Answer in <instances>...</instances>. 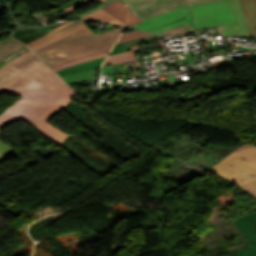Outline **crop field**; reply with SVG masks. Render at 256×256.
<instances>
[{
    "label": "crop field",
    "mask_w": 256,
    "mask_h": 256,
    "mask_svg": "<svg viewBox=\"0 0 256 256\" xmlns=\"http://www.w3.org/2000/svg\"><path fill=\"white\" fill-rule=\"evenodd\" d=\"M122 29L97 35L84 27L34 52L51 65L85 53L113 47Z\"/></svg>",
    "instance_id": "8a807250"
},
{
    "label": "crop field",
    "mask_w": 256,
    "mask_h": 256,
    "mask_svg": "<svg viewBox=\"0 0 256 256\" xmlns=\"http://www.w3.org/2000/svg\"><path fill=\"white\" fill-rule=\"evenodd\" d=\"M77 95L68 85L48 99L22 97L0 113V129L21 119H41L48 121L53 115L68 105Z\"/></svg>",
    "instance_id": "ac0d7876"
},
{
    "label": "crop field",
    "mask_w": 256,
    "mask_h": 256,
    "mask_svg": "<svg viewBox=\"0 0 256 256\" xmlns=\"http://www.w3.org/2000/svg\"><path fill=\"white\" fill-rule=\"evenodd\" d=\"M23 71L0 86V92L19 96L48 98L52 94L46 92L38 80L53 72L35 54L15 64Z\"/></svg>",
    "instance_id": "34b2d1b8"
},
{
    "label": "crop field",
    "mask_w": 256,
    "mask_h": 256,
    "mask_svg": "<svg viewBox=\"0 0 256 256\" xmlns=\"http://www.w3.org/2000/svg\"><path fill=\"white\" fill-rule=\"evenodd\" d=\"M233 3L239 24L218 27L223 37L256 36V0H219L188 6L189 11L201 7Z\"/></svg>",
    "instance_id": "412701ff"
},
{
    "label": "crop field",
    "mask_w": 256,
    "mask_h": 256,
    "mask_svg": "<svg viewBox=\"0 0 256 256\" xmlns=\"http://www.w3.org/2000/svg\"><path fill=\"white\" fill-rule=\"evenodd\" d=\"M211 170L232 180L256 198L255 166L231 154Z\"/></svg>",
    "instance_id": "f4fd0767"
},
{
    "label": "crop field",
    "mask_w": 256,
    "mask_h": 256,
    "mask_svg": "<svg viewBox=\"0 0 256 256\" xmlns=\"http://www.w3.org/2000/svg\"><path fill=\"white\" fill-rule=\"evenodd\" d=\"M191 13L195 29L238 23L232 4L206 7Z\"/></svg>",
    "instance_id": "dd49c442"
},
{
    "label": "crop field",
    "mask_w": 256,
    "mask_h": 256,
    "mask_svg": "<svg viewBox=\"0 0 256 256\" xmlns=\"http://www.w3.org/2000/svg\"><path fill=\"white\" fill-rule=\"evenodd\" d=\"M213 0H134L130 11L140 20L170 11L181 6L203 3Z\"/></svg>",
    "instance_id": "e52e79f7"
},
{
    "label": "crop field",
    "mask_w": 256,
    "mask_h": 256,
    "mask_svg": "<svg viewBox=\"0 0 256 256\" xmlns=\"http://www.w3.org/2000/svg\"><path fill=\"white\" fill-rule=\"evenodd\" d=\"M184 15H186L187 19H185L183 21H180V22H177V23H174V24L164 26L162 28H159V29H156V30L152 31V32H156V31H160V30H163V29L178 26V25H181V24L189 23L188 20L191 19L192 17H191L190 13L187 11V9L185 7H181L179 9H176V10H173V11H170V12H167V13H163V14L154 16L152 18L143 20L142 21L143 23L133 25V26H129V27L148 30V29L160 26V25H164V24H166V23H168L172 20H175L177 18H180Z\"/></svg>",
    "instance_id": "d8731c3e"
},
{
    "label": "crop field",
    "mask_w": 256,
    "mask_h": 256,
    "mask_svg": "<svg viewBox=\"0 0 256 256\" xmlns=\"http://www.w3.org/2000/svg\"><path fill=\"white\" fill-rule=\"evenodd\" d=\"M232 221L251 245L238 251L239 256H256V211Z\"/></svg>",
    "instance_id": "5a996713"
},
{
    "label": "crop field",
    "mask_w": 256,
    "mask_h": 256,
    "mask_svg": "<svg viewBox=\"0 0 256 256\" xmlns=\"http://www.w3.org/2000/svg\"><path fill=\"white\" fill-rule=\"evenodd\" d=\"M72 23H74V22L65 23V24L61 25L60 27L54 29L50 33L42 36L41 38H39V39H37V40L27 44V45L29 46V48L32 51H34V50H36V49H38V48H40V47H42V46H44V45H46L48 43H51V42H53V41H55V40L65 36V35L70 34V33H72V32H74V31H76V30H78V29H80V28L85 26L84 23L81 22V23H79L77 25H74L72 27H69V28H67L65 30H62L60 32H57V33L51 35L52 33H54V32H56V31H58V30H60V29H62L64 27H66V26H68V25H70Z\"/></svg>",
    "instance_id": "3316defc"
},
{
    "label": "crop field",
    "mask_w": 256,
    "mask_h": 256,
    "mask_svg": "<svg viewBox=\"0 0 256 256\" xmlns=\"http://www.w3.org/2000/svg\"><path fill=\"white\" fill-rule=\"evenodd\" d=\"M24 121L32 125L35 129H37L44 136L51 139V141H53L56 144L61 143L63 139L67 135H69L49 122L33 121V120H24Z\"/></svg>",
    "instance_id": "28ad6ade"
},
{
    "label": "crop field",
    "mask_w": 256,
    "mask_h": 256,
    "mask_svg": "<svg viewBox=\"0 0 256 256\" xmlns=\"http://www.w3.org/2000/svg\"><path fill=\"white\" fill-rule=\"evenodd\" d=\"M59 25H61V24H59ZM59 25H52V26L39 28V29H25V28L19 29V30L14 31V37L19 39L24 44H27V43L41 37L42 35L51 31L52 29H54L55 27H57Z\"/></svg>",
    "instance_id": "d1516ede"
},
{
    "label": "crop field",
    "mask_w": 256,
    "mask_h": 256,
    "mask_svg": "<svg viewBox=\"0 0 256 256\" xmlns=\"http://www.w3.org/2000/svg\"><path fill=\"white\" fill-rule=\"evenodd\" d=\"M25 48L27 47L12 37L0 42V62Z\"/></svg>",
    "instance_id": "22f410ed"
},
{
    "label": "crop field",
    "mask_w": 256,
    "mask_h": 256,
    "mask_svg": "<svg viewBox=\"0 0 256 256\" xmlns=\"http://www.w3.org/2000/svg\"><path fill=\"white\" fill-rule=\"evenodd\" d=\"M39 81L41 85L45 88V90L52 94L66 85V83L63 82L62 79L55 72L47 75Z\"/></svg>",
    "instance_id": "cbeb9de0"
},
{
    "label": "crop field",
    "mask_w": 256,
    "mask_h": 256,
    "mask_svg": "<svg viewBox=\"0 0 256 256\" xmlns=\"http://www.w3.org/2000/svg\"><path fill=\"white\" fill-rule=\"evenodd\" d=\"M32 54H34V53H32L30 51L27 54L17 58L16 60L6 64L5 66L1 67L0 68V85L21 71L15 67H13L12 66L13 64L23 60L24 58H26Z\"/></svg>",
    "instance_id": "5142ce71"
},
{
    "label": "crop field",
    "mask_w": 256,
    "mask_h": 256,
    "mask_svg": "<svg viewBox=\"0 0 256 256\" xmlns=\"http://www.w3.org/2000/svg\"><path fill=\"white\" fill-rule=\"evenodd\" d=\"M104 58H99L84 64H80V65H76V66H72L60 71H57V73L60 76H64V75H69V74H73V73H77V72H81V71H85V70H89V69H93V68H98L100 67L101 63L103 62Z\"/></svg>",
    "instance_id": "d9b57169"
},
{
    "label": "crop field",
    "mask_w": 256,
    "mask_h": 256,
    "mask_svg": "<svg viewBox=\"0 0 256 256\" xmlns=\"http://www.w3.org/2000/svg\"><path fill=\"white\" fill-rule=\"evenodd\" d=\"M162 36H164V35L153 34V35L146 36L143 38L135 39V40L128 41L125 43H121V44H117V45H115V47L113 48V50L111 51L110 54L113 55V54H117L120 52L128 51L131 49L130 46H132V45L140 44V43H143V42H146V41L158 38V37H162Z\"/></svg>",
    "instance_id": "733c2abd"
},
{
    "label": "crop field",
    "mask_w": 256,
    "mask_h": 256,
    "mask_svg": "<svg viewBox=\"0 0 256 256\" xmlns=\"http://www.w3.org/2000/svg\"><path fill=\"white\" fill-rule=\"evenodd\" d=\"M233 154L241 157L242 159L256 166V146H250V145L244 144Z\"/></svg>",
    "instance_id": "4a817a6b"
},
{
    "label": "crop field",
    "mask_w": 256,
    "mask_h": 256,
    "mask_svg": "<svg viewBox=\"0 0 256 256\" xmlns=\"http://www.w3.org/2000/svg\"><path fill=\"white\" fill-rule=\"evenodd\" d=\"M137 61L135 54L133 53V50L124 52L121 54L108 56V58L105 60L103 65H109V64H117L122 62H135Z\"/></svg>",
    "instance_id": "bc2a9ffb"
},
{
    "label": "crop field",
    "mask_w": 256,
    "mask_h": 256,
    "mask_svg": "<svg viewBox=\"0 0 256 256\" xmlns=\"http://www.w3.org/2000/svg\"><path fill=\"white\" fill-rule=\"evenodd\" d=\"M103 10L115 16L116 18L120 19L121 21L125 22L128 8H126L124 5H122L120 2L117 1L103 8Z\"/></svg>",
    "instance_id": "214f88e0"
},
{
    "label": "crop field",
    "mask_w": 256,
    "mask_h": 256,
    "mask_svg": "<svg viewBox=\"0 0 256 256\" xmlns=\"http://www.w3.org/2000/svg\"><path fill=\"white\" fill-rule=\"evenodd\" d=\"M83 19L105 21V22L122 25V26H124V24H125V23L121 22L120 20L114 18L113 16L109 15L108 13L104 12L102 9L83 17Z\"/></svg>",
    "instance_id": "92a150f3"
},
{
    "label": "crop field",
    "mask_w": 256,
    "mask_h": 256,
    "mask_svg": "<svg viewBox=\"0 0 256 256\" xmlns=\"http://www.w3.org/2000/svg\"><path fill=\"white\" fill-rule=\"evenodd\" d=\"M160 32L161 33H166V34H173V35L196 33L190 23L182 25V26L174 27V28H171V29H167V30H164V31H160Z\"/></svg>",
    "instance_id": "dafd665d"
},
{
    "label": "crop field",
    "mask_w": 256,
    "mask_h": 256,
    "mask_svg": "<svg viewBox=\"0 0 256 256\" xmlns=\"http://www.w3.org/2000/svg\"><path fill=\"white\" fill-rule=\"evenodd\" d=\"M13 149L9 147L7 144H5L2 140H0V162L18 153Z\"/></svg>",
    "instance_id": "00972430"
},
{
    "label": "crop field",
    "mask_w": 256,
    "mask_h": 256,
    "mask_svg": "<svg viewBox=\"0 0 256 256\" xmlns=\"http://www.w3.org/2000/svg\"><path fill=\"white\" fill-rule=\"evenodd\" d=\"M110 50H111V48L110 49H106V50H102V51H97V52L89 53V54H86V55H82V56H79V57H76V58H72V59H69V60H66V61H62V62L56 63L54 65H51V67L54 68V67H57V66L69 63V62H73V61L79 60V59H83V58L99 55V54H102V53H105V52H109Z\"/></svg>",
    "instance_id": "a9b5d70f"
},
{
    "label": "crop field",
    "mask_w": 256,
    "mask_h": 256,
    "mask_svg": "<svg viewBox=\"0 0 256 256\" xmlns=\"http://www.w3.org/2000/svg\"><path fill=\"white\" fill-rule=\"evenodd\" d=\"M146 35H150V34L143 33V32H138V31H132V32L124 33V34L121 35V37H120V39L117 43L132 40V39L139 38V37L146 36Z\"/></svg>",
    "instance_id": "4177f3b9"
},
{
    "label": "crop field",
    "mask_w": 256,
    "mask_h": 256,
    "mask_svg": "<svg viewBox=\"0 0 256 256\" xmlns=\"http://www.w3.org/2000/svg\"><path fill=\"white\" fill-rule=\"evenodd\" d=\"M107 54L108 53L102 54V55H99V56H95V57H91V58H87V59H83V60H79V61H76V62H73V63H70V64H66V65L54 68V70L57 71V70H60V69H63V68H66V67H69V66H72V65L84 63V62H87V61H90V60H93V59H96V58H99V57L107 56Z\"/></svg>",
    "instance_id": "730fd06b"
},
{
    "label": "crop field",
    "mask_w": 256,
    "mask_h": 256,
    "mask_svg": "<svg viewBox=\"0 0 256 256\" xmlns=\"http://www.w3.org/2000/svg\"><path fill=\"white\" fill-rule=\"evenodd\" d=\"M94 1H96V0H83V1L78 2V3H76L72 6L67 7L65 10L68 11L69 13H71L74 10H76L77 8H80V7H82L86 4H89V3L94 2Z\"/></svg>",
    "instance_id": "eef30255"
},
{
    "label": "crop field",
    "mask_w": 256,
    "mask_h": 256,
    "mask_svg": "<svg viewBox=\"0 0 256 256\" xmlns=\"http://www.w3.org/2000/svg\"><path fill=\"white\" fill-rule=\"evenodd\" d=\"M137 23H141V21L132 12L129 11L126 21V27Z\"/></svg>",
    "instance_id": "ae1a2a85"
},
{
    "label": "crop field",
    "mask_w": 256,
    "mask_h": 256,
    "mask_svg": "<svg viewBox=\"0 0 256 256\" xmlns=\"http://www.w3.org/2000/svg\"><path fill=\"white\" fill-rule=\"evenodd\" d=\"M28 51H30V50L27 48V49H25V50H23V51H21V52L15 54L14 56H12V57L6 59V60L3 61L2 63H0V67L3 66V65H5V64L8 63L9 61H11V60H13V59L19 57L20 55H22V54L28 52Z\"/></svg>",
    "instance_id": "d3111659"
},
{
    "label": "crop field",
    "mask_w": 256,
    "mask_h": 256,
    "mask_svg": "<svg viewBox=\"0 0 256 256\" xmlns=\"http://www.w3.org/2000/svg\"><path fill=\"white\" fill-rule=\"evenodd\" d=\"M114 1H116V0H106L105 2H103V3H105V4H110V3H112V2H114ZM118 1H120L122 4H124L126 7H129V5H130V3H131V1L132 0H118Z\"/></svg>",
    "instance_id": "750c4746"
},
{
    "label": "crop field",
    "mask_w": 256,
    "mask_h": 256,
    "mask_svg": "<svg viewBox=\"0 0 256 256\" xmlns=\"http://www.w3.org/2000/svg\"><path fill=\"white\" fill-rule=\"evenodd\" d=\"M185 18H186V17L180 18V19L175 20V21H173V22H171V23H174V22L180 21V20L185 19ZM169 24H170V23H169ZM160 27H161V26H160ZM157 28H159V27H157ZM154 29H156V28H154ZM151 30H153V29H151ZM151 30H148V31H151Z\"/></svg>",
    "instance_id": "bd1437ed"
},
{
    "label": "crop field",
    "mask_w": 256,
    "mask_h": 256,
    "mask_svg": "<svg viewBox=\"0 0 256 256\" xmlns=\"http://www.w3.org/2000/svg\"><path fill=\"white\" fill-rule=\"evenodd\" d=\"M99 1H101V2H102V1H104V0H99Z\"/></svg>",
    "instance_id": "1d83c4d3"
},
{
    "label": "crop field",
    "mask_w": 256,
    "mask_h": 256,
    "mask_svg": "<svg viewBox=\"0 0 256 256\" xmlns=\"http://www.w3.org/2000/svg\"><path fill=\"white\" fill-rule=\"evenodd\" d=\"M77 23H79V22H77ZM77 23H75V24H77ZM74 25V24H73ZM72 26V25H71Z\"/></svg>",
    "instance_id": "120bbe31"
}]
</instances>
